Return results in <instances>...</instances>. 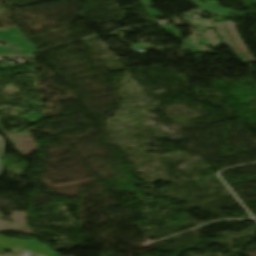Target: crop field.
I'll list each match as a JSON object with an SVG mask.
<instances>
[{"instance_id":"obj_7","label":"crop field","mask_w":256,"mask_h":256,"mask_svg":"<svg viewBox=\"0 0 256 256\" xmlns=\"http://www.w3.org/2000/svg\"><path fill=\"white\" fill-rule=\"evenodd\" d=\"M208 31V32H206ZM205 31V36L210 39V42L213 44L212 47L215 48V46L219 45V41L218 39L216 38L215 35H212L211 33L214 32V31H210V30H206ZM213 38H216V40H214Z\"/></svg>"},{"instance_id":"obj_1","label":"crop field","mask_w":256,"mask_h":256,"mask_svg":"<svg viewBox=\"0 0 256 256\" xmlns=\"http://www.w3.org/2000/svg\"><path fill=\"white\" fill-rule=\"evenodd\" d=\"M0 42L9 44L7 47L0 46V55L18 57L37 52L36 48L16 25L0 30ZM11 46H16L18 49L13 50L10 48Z\"/></svg>"},{"instance_id":"obj_3","label":"crop field","mask_w":256,"mask_h":256,"mask_svg":"<svg viewBox=\"0 0 256 256\" xmlns=\"http://www.w3.org/2000/svg\"><path fill=\"white\" fill-rule=\"evenodd\" d=\"M216 29H217L219 35L223 37V40H224L225 44H226L229 48L235 50V51L237 52V54H241V53L239 52V50L236 48V46L233 44V42H232L230 36L228 35V33H227V31H226V29H225V27H224V25H223L222 22H220V24L217 26ZM236 52H235V53H236Z\"/></svg>"},{"instance_id":"obj_5","label":"crop field","mask_w":256,"mask_h":256,"mask_svg":"<svg viewBox=\"0 0 256 256\" xmlns=\"http://www.w3.org/2000/svg\"><path fill=\"white\" fill-rule=\"evenodd\" d=\"M207 1L206 7L210 8L217 14L221 15L222 17H230L227 10H221V8H218L217 10H214L215 7H218L216 2H211L210 0H204Z\"/></svg>"},{"instance_id":"obj_4","label":"crop field","mask_w":256,"mask_h":256,"mask_svg":"<svg viewBox=\"0 0 256 256\" xmlns=\"http://www.w3.org/2000/svg\"><path fill=\"white\" fill-rule=\"evenodd\" d=\"M196 35H197V32H192L190 34L189 38L186 41H184V44H186L190 49H192L194 51H199V52H201V51H203V52L210 51L209 49L199 45L196 42V40H195Z\"/></svg>"},{"instance_id":"obj_8","label":"crop field","mask_w":256,"mask_h":256,"mask_svg":"<svg viewBox=\"0 0 256 256\" xmlns=\"http://www.w3.org/2000/svg\"><path fill=\"white\" fill-rule=\"evenodd\" d=\"M191 1H193L195 4H197V6H201V7H203L202 5H200L197 1H195V0H191ZM203 10H207V12H209L210 14H212V15H216V14H214V13H212V12H210L207 8H205L204 7V9ZM217 16V15H216ZM219 17V16H218Z\"/></svg>"},{"instance_id":"obj_6","label":"crop field","mask_w":256,"mask_h":256,"mask_svg":"<svg viewBox=\"0 0 256 256\" xmlns=\"http://www.w3.org/2000/svg\"><path fill=\"white\" fill-rule=\"evenodd\" d=\"M141 3H143V5H145L146 7L147 6H150V1H152V0H139ZM154 1H156V0H154ZM145 11L152 17V19L153 20H155V21H158L157 19H156V17L157 16H159L160 15V13H158L157 11H155V10H151V9H145Z\"/></svg>"},{"instance_id":"obj_2","label":"crop field","mask_w":256,"mask_h":256,"mask_svg":"<svg viewBox=\"0 0 256 256\" xmlns=\"http://www.w3.org/2000/svg\"><path fill=\"white\" fill-rule=\"evenodd\" d=\"M226 25L230 29L231 34H232L238 48L247 56V58L250 62H255V60L252 58L249 51L247 50L244 42L241 40L240 36L238 35L234 22H226Z\"/></svg>"},{"instance_id":"obj_9","label":"crop field","mask_w":256,"mask_h":256,"mask_svg":"<svg viewBox=\"0 0 256 256\" xmlns=\"http://www.w3.org/2000/svg\"><path fill=\"white\" fill-rule=\"evenodd\" d=\"M240 60L242 61V63H245L247 62L246 59L243 57V55H238Z\"/></svg>"}]
</instances>
